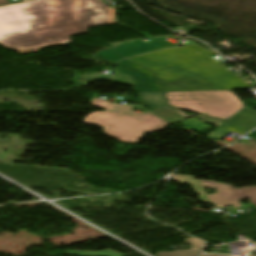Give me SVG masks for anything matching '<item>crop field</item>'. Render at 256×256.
I'll list each match as a JSON object with an SVG mask.
<instances>
[{
    "instance_id": "1",
    "label": "crop field",
    "mask_w": 256,
    "mask_h": 256,
    "mask_svg": "<svg viewBox=\"0 0 256 256\" xmlns=\"http://www.w3.org/2000/svg\"><path fill=\"white\" fill-rule=\"evenodd\" d=\"M102 0H34L0 7V44L27 54L71 43L87 28L118 23Z\"/></svg>"
},
{
    "instance_id": "2",
    "label": "crop field",
    "mask_w": 256,
    "mask_h": 256,
    "mask_svg": "<svg viewBox=\"0 0 256 256\" xmlns=\"http://www.w3.org/2000/svg\"><path fill=\"white\" fill-rule=\"evenodd\" d=\"M214 51V50H213ZM195 43L131 60L155 71L163 91L248 88L247 83L209 56L217 53Z\"/></svg>"
},
{
    "instance_id": "3",
    "label": "crop field",
    "mask_w": 256,
    "mask_h": 256,
    "mask_svg": "<svg viewBox=\"0 0 256 256\" xmlns=\"http://www.w3.org/2000/svg\"><path fill=\"white\" fill-rule=\"evenodd\" d=\"M91 105L107 110L89 114L84 122L104 127L106 134L125 143L134 144L146 132L160 130L168 124L148 112L138 114L130 111L138 107L117 105L93 96Z\"/></svg>"
},
{
    "instance_id": "4",
    "label": "crop field",
    "mask_w": 256,
    "mask_h": 256,
    "mask_svg": "<svg viewBox=\"0 0 256 256\" xmlns=\"http://www.w3.org/2000/svg\"><path fill=\"white\" fill-rule=\"evenodd\" d=\"M164 93L171 107L224 120L245 106L231 91Z\"/></svg>"
},
{
    "instance_id": "5",
    "label": "crop field",
    "mask_w": 256,
    "mask_h": 256,
    "mask_svg": "<svg viewBox=\"0 0 256 256\" xmlns=\"http://www.w3.org/2000/svg\"><path fill=\"white\" fill-rule=\"evenodd\" d=\"M172 180L178 183H191L200 195L202 201L208 202L215 207H223L234 203L236 208L241 207L239 200L249 197L251 202L256 205V187L232 189L231 186L215 183L213 181H195L192 176L173 175ZM204 187H214L219 193L207 195Z\"/></svg>"
},
{
    "instance_id": "6",
    "label": "crop field",
    "mask_w": 256,
    "mask_h": 256,
    "mask_svg": "<svg viewBox=\"0 0 256 256\" xmlns=\"http://www.w3.org/2000/svg\"><path fill=\"white\" fill-rule=\"evenodd\" d=\"M118 70L130 75L134 81V92L160 91L150 70H146L127 60L118 64Z\"/></svg>"
},
{
    "instance_id": "7",
    "label": "crop field",
    "mask_w": 256,
    "mask_h": 256,
    "mask_svg": "<svg viewBox=\"0 0 256 256\" xmlns=\"http://www.w3.org/2000/svg\"><path fill=\"white\" fill-rule=\"evenodd\" d=\"M174 46L172 43L166 41L164 38L156 39L152 44H146L142 41L132 43L129 45L121 46L114 48L117 52H119L124 57L130 55L141 54L157 49H162L166 47Z\"/></svg>"
},
{
    "instance_id": "8",
    "label": "crop field",
    "mask_w": 256,
    "mask_h": 256,
    "mask_svg": "<svg viewBox=\"0 0 256 256\" xmlns=\"http://www.w3.org/2000/svg\"><path fill=\"white\" fill-rule=\"evenodd\" d=\"M144 106H148L151 111L168 105L162 92L138 93Z\"/></svg>"
},
{
    "instance_id": "9",
    "label": "crop field",
    "mask_w": 256,
    "mask_h": 256,
    "mask_svg": "<svg viewBox=\"0 0 256 256\" xmlns=\"http://www.w3.org/2000/svg\"><path fill=\"white\" fill-rule=\"evenodd\" d=\"M228 121L251 126L253 128L256 127V112L244 107L239 112H237L232 118Z\"/></svg>"
},
{
    "instance_id": "10",
    "label": "crop field",
    "mask_w": 256,
    "mask_h": 256,
    "mask_svg": "<svg viewBox=\"0 0 256 256\" xmlns=\"http://www.w3.org/2000/svg\"><path fill=\"white\" fill-rule=\"evenodd\" d=\"M153 113L175 123L183 118L188 117L187 115L183 114L180 110H175L172 108H165L161 110L154 111Z\"/></svg>"
},
{
    "instance_id": "11",
    "label": "crop field",
    "mask_w": 256,
    "mask_h": 256,
    "mask_svg": "<svg viewBox=\"0 0 256 256\" xmlns=\"http://www.w3.org/2000/svg\"><path fill=\"white\" fill-rule=\"evenodd\" d=\"M117 54L111 48H109V49L99 52L93 56L96 59H98L99 61L109 60L110 62H112L114 64V63L118 62L119 60L123 59L122 57H120Z\"/></svg>"
},
{
    "instance_id": "12",
    "label": "crop field",
    "mask_w": 256,
    "mask_h": 256,
    "mask_svg": "<svg viewBox=\"0 0 256 256\" xmlns=\"http://www.w3.org/2000/svg\"><path fill=\"white\" fill-rule=\"evenodd\" d=\"M66 254H78L80 256H128L114 251L106 250L102 252L93 251H66Z\"/></svg>"
},
{
    "instance_id": "13",
    "label": "crop field",
    "mask_w": 256,
    "mask_h": 256,
    "mask_svg": "<svg viewBox=\"0 0 256 256\" xmlns=\"http://www.w3.org/2000/svg\"><path fill=\"white\" fill-rule=\"evenodd\" d=\"M218 128L223 129V130H229V131H232V132H234L236 134H239V135H243L244 133L251 130V128L238 126V125H235V124H232V123H229V122H225L224 124H222Z\"/></svg>"
},
{
    "instance_id": "14",
    "label": "crop field",
    "mask_w": 256,
    "mask_h": 256,
    "mask_svg": "<svg viewBox=\"0 0 256 256\" xmlns=\"http://www.w3.org/2000/svg\"><path fill=\"white\" fill-rule=\"evenodd\" d=\"M201 251L196 250H183V251H175V252H162L157 253L156 256H199Z\"/></svg>"
},
{
    "instance_id": "15",
    "label": "crop field",
    "mask_w": 256,
    "mask_h": 256,
    "mask_svg": "<svg viewBox=\"0 0 256 256\" xmlns=\"http://www.w3.org/2000/svg\"><path fill=\"white\" fill-rule=\"evenodd\" d=\"M197 117H199V118L205 120L206 122H208V123H210V124H212V125H214V126H216V127H218V126H220L222 123H224V121L216 120V119L209 118V117H205V116H201V115H199V116H197Z\"/></svg>"
},
{
    "instance_id": "16",
    "label": "crop field",
    "mask_w": 256,
    "mask_h": 256,
    "mask_svg": "<svg viewBox=\"0 0 256 256\" xmlns=\"http://www.w3.org/2000/svg\"><path fill=\"white\" fill-rule=\"evenodd\" d=\"M185 243L190 244L191 246H193L194 248H201L202 242L201 241H193L191 239L185 241Z\"/></svg>"
},
{
    "instance_id": "17",
    "label": "crop field",
    "mask_w": 256,
    "mask_h": 256,
    "mask_svg": "<svg viewBox=\"0 0 256 256\" xmlns=\"http://www.w3.org/2000/svg\"><path fill=\"white\" fill-rule=\"evenodd\" d=\"M7 3H9L8 0H0V5H1V4H7Z\"/></svg>"
},
{
    "instance_id": "18",
    "label": "crop field",
    "mask_w": 256,
    "mask_h": 256,
    "mask_svg": "<svg viewBox=\"0 0 256 256\" xmlns=\"http://www.w3.org/2000/svg\"><path fill=\"white\" fill-rule=\"evenodd\" d=\"M202 256H223V255H208V254H205V255H202ZM250 256H256L255 254H251Z\"/></svg>"
},
{
    "instance_id": "19",
    "label": "crop field",
    "mask_w": 256,
    "mask_h": 256,
    "mask_svg": "<svg viewBox=\"0 0 256 256\" xmlns=\"http://www.w3.org/2000/svg\"><path fill=\"white\" fill-rule=\"evenodd\" d=\"M249 136L253 137L256 139V131L252 132L251 134H249Z\"/></svg>"
},
{
    "instance_id": "20",
    "label": "crop field",
    "mask_w": 256,
    "mask_h": 256,
    "mask_svg": "<svg viewBox=\"0 0 256 256\" xmlns=\"http://www.w3.org/2000/svg\"><path fill=\"white\" fill-rule=\"evenodd\" d=\"M203 248H204V243L202 245V249H197V250H203ZM191 249H194V248L192 247Z\"/></svg>"
},
{
    "instance_id": "21",
    "label": "crop field",
    "mask_w": 256,
    "mask_h": 256,
    "mask_svg": "<svg viewBox=\"0 0 256 256\" xmlns=\"http://www.w3.org/2000/svg\"><path fill=\"white\" fill-rule=\"evenodd\" d=\"M192 239H194V240H197V239H195V238H193V237H191Z\"/></svg>"
},
{
    "instance_id": "22",
    "label": "crop field",
    "mask_w": 256,
    "mask_h": 256,
    "mask_svg": "<svg viewBox=\"0 0 256 256\" xmlns=\"http://www.w3.org/2000/svg\"><path fill=\"white\" fill-rule=\"evenodd\" d=\"M22 1H25V0H22Z\"/></svg>"
}]
</instances>
